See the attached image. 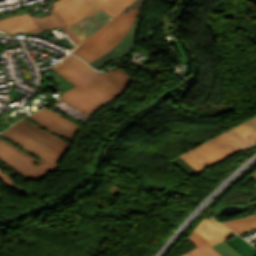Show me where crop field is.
Returning <instances> with one entry per match:
<instances>
[{
  "instance_id": "34b2d1b8",
  "label": "crop field",
  "mask_w": 256,
  "mask_h": 256,
  "mask_svg": "<svg viewBox=\"0 0 256 256\" xmlns=\"http://www.w3.org/2000/svg\"><path fill=\"white\" fill-rule=\"evenodd\" d=\"M2 134L41 158L56 164H59L69 147V144L38 128L24 118Z\"/></svg>"
},
{
  "instance_id": "dd49c442",
  "label": "crop field",
  "mask_w": 256,
  "mask_h": 256,
  "mask_svg": "<svg viewBox=\"0 0 256 256\" xmlns=\"http://www.w3.org/2000/svg\"><path fill=\"white\" fill-rule=\"evenodd\" d=\"M0 159L20 171L25 179L38 180L50 173L58 165L46 162L35 166L27 156L0 141Z\"/></svg>"
},
{
  "instance_id": "412701ff",
  "label": "crop field",
  "mask_w": 256,
  "mask_h": 256,
  "mask_svg": "<svg viewBox=\"0 0 256 256\" xmlns=\"http://www.w3.org/2000/svg\"><path fill=\"white\" fill-rule=\"evenodd\" d=\"M137 10L131 9L125 15L119 14L104 28L78 46L73 53L82 57L87 62H92L115 47L130 30L138 15Z\"/></svg>"
},
{
  "instance_id": "5142ce71",
  "label": "crop field",
  "mask_w": 256,
  "mask_h": 256,
  "mask_svg": "<svg viewBox=\"0 0 256 256\" xmlns=\"http://www.w3.org/2000/svg\"><path fill=\"white\" fill-rule=\"evenodd\" d=\"M222 256H241L236 252L231 246H229L225 241L213 246Z\"/></svg>"
},
{
  "instance_id": "92a150f3",
  "label": "crop field",
  "mask_w": 256,
  "mask_h": 256,
  "mask_svg": "<svg viewBox=\"0 0 256 256\" xmlns=\"http://www.w3.org/2000/svg\"><path fill=\"white\" fill-rule=\"evenodd\" d=\"M256 186V185H255Z\"/></svg>"
},
{
  "instance_id": "f4fd0767",
  "label": "crop field",
  "mask_w": 256,
  "mask_h": 256,
  "mask_svg": "<svg viewBox=\"0 0 256 256\" xmlns=\"http://www.w3.org/2000/svg\"><path fill=\"white\" fill-rule=\"evenodd\" d=\"M242 150L223 133L180 155L198 172Z\"/></svg>"
},
{
  "instance_id": "3316defc",
  "label": "crop field",
  "mask_w": 256,
  "mask_h": 256,
  "mask_svg": "<svg viewBox=\"0 0 256 256\" xmlns=\"http://www.w3.org/2000/svg\"><path fill=\"white\" fill-rule=\"evenodd\" d=\"M36 28L34 21L29 13H24L19 16L3 18L0 20V29L6 32L14 33L24 32Z\"/></svg>"
},
{
  "instance_id": "28ad6ade",
  "label": "crop field",
  "mask_w": 256,
  "mask_h": 256,
  "mask_svg": "<svg viewBox=\"0 0 256 256\" xmlns=\"http://www.w3.org/2000/svg\"><path fill=\"white\" fill-rule=\"evenodd\" d=\"M192 243H194L198 248L182 255V256H221L216 252L207 240L201 237L195 231L187 237Z\"/></svg>"
},
{
  "instance_id": "d9b57169",
  "label": "crop field",
  "mask_w": 256,
  "mask_h": 256,
  "mask_svg": "<svg viewBox=\"0 0 256 256\" xmlns=\"http://www.w3.org/2000/svg\"><path fill=\"white\" fill-rule=\"evenodd\" d=\"M224 134L228 135L231 139H233L243 149L248 147L249 145H251L245 139H243L241 136H239L236 132H234L232 129L224 132Z\"/></svg>"
},
{
  "instance_id": "cbeb9de0",
  "label": "crop field",
  "mask_w": 256,
  "mask_h": 256,
  "mask_svg": "<svg viewBox=\"0 0 256 256\" xmlns=\"http://www.w3.org/2000/svg\"><path fill=\"white\" fill-rule=\"evenodd\" d=\"M226 242L231 245L235 250H237L242 256H256V254L253 252L255 249L252 248L239 236L228 239L226 240Z\"/></svg>"
},
{
  "instance_id": "8a807250",
  "label": "crop field",
  "mask_w": 256,
  "mask_h": 256,
  "mask_svg": "<svg viewBox=\"0 0 256 256\" xmlns=\"http://www.w3.org/2000/svg\"><path fill=\"white\" fill-rule=\"evenodd\" d=\"M53 69L76 86L63 93L61 100L88 115L121 95L131 80L121 69L98 73L71 55Z\"/></svg>"
},
{
  "instance_id": "d1516ede",
  "label": "crop field",
  "mask_w": 256,
  "mask_h": 256,
  "mask_svg": "<svg viewBox=\"0 0 256 256\" xmlns=\"http://www.w3.org/2000/svg\"><path fill=\"white\" fill-rule=\"evenodd\" d=\"M222 224L232 229L237 234L241 235L247 231L256 228V214L231 221L222 222Z\"/></svg>"
},
{
  "instance_id": "214f88e0",
  "label": "crop field",
  "mask_w": 256,
  "mask_h": 256,
  "mask_svg": "<svg viewBox=\"0 0 256 256\" xmlns=\"http://www.w3.org/2000/svg\"><path fill=\"white\" fill-rule=\"evenodd\" d=\"M130 9H126L123 13L127 14Z\"/></svg>"
},
{
  "instance_id": "e52e79f7",
  "label": "crop field",
  "mask_w": 256,
  "mask_h": 256,
  "mask_svg": "<svg viewBox=\"0 0 256 256\" xmlns=\"http://www.w3.org/2000/svg\"><path fill=\"white\" fill-rule=\"evenodd\" d=\"M28 117L38 122L41 126L49 129L50 131L55 132L70 140L73 139L76 130L80 127L46 107L29 115Z\"/></svg>"
},
{
  "instance_id": "ac0d7876",
  "label": "crop field",
  "mask_w": 256,
  "mask_h": 256,
  "mask_svg": "<svg viewBox=\"0 0 256 256\" xmlns=\"http://www.w3.org/2000/svg\"><path fill=\"white\" fill-rule=\"evenodd\" d=\"M134 0H58L52 5L83 41Z\"/></svg>"
},
{
  "instance_id": "bc2a9ffb",
  "label": "crop field",
  "mask_w": 256,
  "mask_h": 256,
  "mask_svg": "<svg viewBox=\"0 0 256 256\" xmlns=\"http://www.w3.org/2000/svg\"><path fill=\"white\" fill-rule=\"evenodd\" d=\"M249 177H251L252 179L256 180V171L253 174H251Z\"/></svg>"
},
{
  "instance_id": "d8731c3e",
  "label": "crop field",
  "mask_w": 256,
  "mask_h": 256,
  "mask_svg": "<svg viewBox=\"0 0 256 256\" xmlns=\"http://www.w3.org/2000/svg\"><path fill=\"white\" fill-rule=\"evenodd\" d=\"M140 14L141 13H139L138 18L136 19L133 27L128 32V34L123 38V40L115 48L106 53L104 56L92 62L91 65H93L95 68H98L119 57L128 54L133 49L135 45V37L138 29Z\"/></svg>"
},
{
  "instance_id": "22f410ed",
  "label": "crop field",
  "mask_w": 256,
  "mask_h": 256,
  "mask_svg": "<svg viewBox=\"0 0 256 256\" xmlns=\"http://www.w3.org/2000/svg\"><path fill=\"white\" fill-rule=\"evenodd\" d=\"M239 135L251 144L256 142V117L233 128Z\"/></svg>"
},
{
  "instance_id": "4a817a6b",
  "label": "crop field",
  "mask_w": 256,
  "mask_h": 256,
  "mask_svg": "<svg viewBox=\"0 0 256 256\" xmlns=\"http://www.w3.org/2000/svg\"><path fill=\"white\" fill-rule=\"evenodd\" d=\"M145 0H135L132 4H130L128 7H133V8H136L138 9L143 3H144Z\"/></svg>"
},
{
  "instance_id": "5a996713",
  "label": "crop field",
  "mask_w": 256,
  "mask_h": 256,
  "mask_svg": "<svg viewBox=\"0 0 256 256\" xmlns=\"http://www.w3.org/2000/svg\"><path fill=\"white\" fill-rule=\"evenodd\" d=\"M195 231L198 232L201 236H203L213 245L225 239L231 238V236L228 233L232 232L228 228H226L225 226L221 225L220 223L216 222L213 219L202 220V222Z\"/></svg>"
},
{
  "instance_id": "733c2abd",
  "label": "crop field",
  "mask_w": 256,
  "mask_h": 256,
  "mask_svg": "<svg viewBox=\"0 0 256 256\" xmlns=\"http://www.w3.org/2000/svg\"><path fill=\"white\" fill-rule=\"evenodd\" d=\"M0 179L6 183L8 186L23 192L25 189L21 188L20 186H18L17 184L14 183L13 179L11 177H9L4 171H2L0 169Z\"/></svg>"
}]
</instances>
